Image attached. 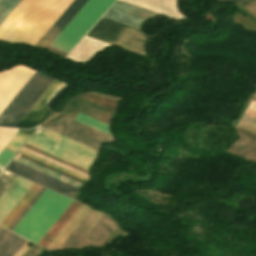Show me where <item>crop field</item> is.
Returning a JSON list of instances; mask_svg holds the SVG:
<instances>
[{"label":"crop field","mask_w":256,"mask_h":256,"mask_svg":"<svg viewBox=\"0 0 256 256\" xmlns=\"http://www.w3.org/2000/svg\"><path fill=\"white\" fill-rule=\"evenodd\" d=\"M2 73H3V72H2ZM2 73H0V75H1Z\"/></svg>","instance_id":"obj_33"},{"label":"crop field","mask_w":256,"mask_h":256,"mask_svg":"<svg viewBox=\"0 0 256 256\" xmlns=\"http://www.w3.org/2000/svg\"><path fill=\"white\" fill-rule=\"evenodd\" d=\"M13 155H14V153L3 149V151L0 153V171L3 170V168L10 161V159L13 157Z\"/></svg>","instance_id":"obj_27"},{"label":"crop field","mask_w":256,"mask_h":256,"mask_svg":"<svg viewBox=\"0 0 256 256\" xmlns=\"http://www.w3.org/2000/svg\"><path fill=\"white\" fill-rule=\"evenodd\" d=\"M16 175L2 171L0 174V196L15 179Z\"/></svg>","instance_id":"obj_23"},{"label":"crop field","mask_w":256,"mask_h":256,"mask_svg":"<svg viewBox=\"0 0 256 256\" xmlns=\"http://www.w3.org/2000/svg\"><path fill=\"white\" fill-rule=\"evenodd\" d=\"M226 1L234 2L256 14V0H226Z\"/></svg>","instance_id":"obj_26"},{"label":"crop field","mask_w":256,"mask_h":256,"mask_svg":"<svg viewBox=\"0 0 256 256\" xmlns=\"http://www.w3.org/2000/svg\"><path fill=\"white\" fill-rule=\"evenodd\" d=\"M71 202L72 200L46 189L13 232L38 244Z\"/></svg>","instance_id":"obj_2"},{"label":"crop field","mask_w":256,"mask_h":256,"mask_svg":"<svg viewBox=\"0 0 256 256\" xmlns=\"http://www.w3.org/2000/svg\"><path fill=\"white\" fill-rule=\"evenodd\" d=\"M115 0H88L50 46L67 53Z\"/></svg>","instance_id":"obj_4"},{"label":"crop field","mask_w":256,"mask_h":256,"mask_svg":"<svg viewBox=\"0 0 256 256\" xmlns=\"http://www.w3.org/2000/svg\"><path fill=\"white\" fill-rule=\"evenodd\" d=\"M87 0H74L73 3L66 9V11L59 17V19L52 25V27L43 36L46 39L53 40L56 35L63 29V27L71 20V18L78 12V10L85 4Z\"/></svg>","instance_id":"obj_16"},{"label":"crop field","mask_w":256,"mask_h":256,"mask_svg":"<svg viewBox=\"0 0 256 256\" xmlns=\"http://www.w3.org/2000/svg\"><path fill=\"white\" fill-rule=\"evenodd\" d=\"M73 0H22L0 26V39L35 45Z\"/></svg>","instance_id":"obj_1"},{"label":"crop field","mask_w":256,"mask_h":256,"mask_svg":"<svg viewBox=\"0 0 256 256\" xmlns=\"http://www.w3.org/2000/svg\"><path fill=\"white\" fill-rule=\"evenodd\" d=\"M48 129L74 139L78 142L86 144L95 149H99L101 142H112L113 138L103 134L97 130L80 124L67 117L61 119L55 124L48 127Z\"/></svg>","instance_id":"obj_7"},{"label":"crop field","mask_w":256,"mask_h":256,"mask_svg":"<svg viewBox=\"0 0 256 256\" xmlns=\"http://www.w3.org/2000/svg\"><path fill=\"white\" fill-rule=\"evenodd\" d=\"M89 210L90 208L82 204L81 207L76 211V213L71 217V219L62 228V230L58 233V235L53 239V241L48 245L46 249H59Z\"/></svg>","instance_id":"obj_15"},{"label":"crop field","mask_w":256,"mask_h":256,"mask_svg":"<svg viewBox=\"0 0 256 256\" xmlns=\"http://www.w3.org/2000/svg\"><path fill=\"white\" fill-rule=\"evenodd\" d=\"M5 169L10 172H13L17 175L25 177L29 180H32L36 183H39L43 186H46L50 189L58 191L62 194H65L69 197H72L75 194V192L78 190V188H76L74 186H71V185L64 183L60 180H57L53 177L45 175L41 172H38L34 169H31L27 166L17 163L13 160L10 161V163L7 165V167Z\"/></svg>","instance_id":"obj_10"},{"label":"crop field","mask_w":256,"mask_h":256,"mask_svg":"<svg viewBox=\"0 0 256 256\" xmlns=\"http://www.w3.org/2000/svg\"><path fill=\"white\" fill-rule=\"evenodd\" d=\"M33 183L17 176L0 197V224L21 200Z\"/></svg>","instance_id":"obj_11"},{"label":"crop field","mask_w":256,"mask_h":256,"mask_svg":"<svg viewBox=\"0 0 256 256\" xmlns=\"http://www.w3.org/2000/svg\"><path fill=\"white\" fill-rule=\"evenodd\" d=\"M33 73L26 67L17 66L0 75V113Z\"/></svg>","instance_id":"obj_8"},{"label":"crop field","mask_w":256,"mask_h":256,"mask_svg":"<svg viewBox=\"0 0 256 256\" xmlns=\"http://www.w3.org/2000/svg\"><path fill=\"white\" fill-rule=\"evenodd\" d=\"M18 130L0 129V152Z\"/></svg>","instance_id":"obj_24"},{"label":"crop field","mask_w":256,"mask_h":256,"mask_svg":"<svg viewBox=\"0 0 256 256\" xmlns=\"http://www.w3.org/2000/svg\"><path fill=\"white\" fill-rule=\"evenodd\" d=\"M87 36L144 55V38L137 29L101 18Z\"/></svg>","instance_id":"obj_6"},{"label":"crop field","mask_w":256,"mask_h":256,"mask_svg":"<svg viewBox=\"0 0 256 256\" xmlns=\"http://www.w3.org/2000/svg\"><path fill=\"white\" fill-rule=\"evenodd\" d=\"M250 109L256 110V102H252Z\"/></svg>","instance_id":"obj_31"},{"label":"crop field","mask_w":256,"mask_h":256,"mask_svg":"<svg viewBox=\"0 0 256 256\" xmlns=\"http://www.w3.org/2000/svg\"><path fill=\"white\" fill-rule=\"evenodd\" d=\"M241 139L228 153L256 162V138L240 133Z\"/></svg>","instance_id":"obj_17"},{"label":"crop field","mask_w":256,"mask_h":256,"mask_svg":"<svg viewBox=\"0 0 256 256\" xmlns=\"http://www.w3.org/2000/svg\"><path fill=\"white\" fill-rule=\"evenodd\" d=\"M45 188H41V190L36 194V196L32 199V201L28 204V206L23 210V212L19 215V217L15 220V222L10 226L9 230H13V228L18 224V222L22 219V217L26 214V212L31 208V206L35 203V201L39 198V196L44 192Z\"/></svg>","instance_id":"obj_25"},{"label":"crop field","mask_w":256,"mask_h":256,"mask_svg":"<svg viewBox=\"0 0 256 256\" xmlns=\"http://www.w3.org/2000/svg\"><path fill=\"white\" fill-rule=\"evenodd\" d=\"M26 144L89 170L97 150L49 131L41 126ZM97 156V155H96Z\"/></svg>","instance_id":"obj_3"},{"label":"crop field","mask_w":256,"mask_h":256,"mask_svg":"<svg viewBox=\"0 0 256 256\" xmlns=\"http://www.w3.org/2000/svg\"><path fill=\"white\" fill-rule=\"evenodd\" d=\"M60 84L61 82L54 80L53 83L48 87V89L43 93V95L38 99V101L33 105V107L28 111V113L23 117V119L18 123L16 127L30 129L40 124L51 112L48 110L47 106L43 104L59 87Z\"/></svg>","instance_id":"obj_12"},{"label":"crop field","mask_w":256,"mask_h":256,"mask_svg":"<svg viewBox=\"0 0 256 256\" xmlns=\"http://www.w3.org/2000/svg\"><path fill=\"white\" fill-rule=\"evenodd\" d=\"M3 228L0 227V231L2 230Z\"/></svg>","instance_id":"obj_32"},{"label":"crop field","mask_w":256,"mask_h":256,"mask_svg":"<svg viewBox=\"0 0 256 256\" xmlns=\"http://www.w3.org/2000/svg\"><path fill=\"white\" fill-rule=\"evenodd\" d=\"M159 14L117 0L103 18L139 29L143 21Z\"/></svg>","instance_id":"obj_9"},{"label":"crop field","mask_w":256,"mask_h":256,"mask_svg":"<svg viewBox=\"0 0 256 256\" xmlns=\"http://www.w3.org/2000/svg\"><path fill=\"white\" fill-rule=\"evenodd\" d=\"M19 153H21V154H23V155H26V156H28V157H31V158H33V159H35V160H38V161H40V162H42V163H45V164H47V165H50V166H52V167H54V168H57V169H59V170H62V171H64V172H66V173H69V174H71V175H73V176H76V177H78V178H81V179H83V180H85L86 181V179H84V178H82V177H80V176H77V175H75V174H73V173H70V172H68V171H66V170H64V169H61V168H59V167H57V166H55V165H52V164H50V163H48V162H46V161H43V160H41V159H39V158H36V157H34V156H32V155H30V154H27V153H25V152H23V151H21V150H19Z\"/></svg>","instance_id":"obj_28"},{"label":"crop field","mask_w":256,"mask_h":256,"mask_svg":"<svg viewBox=\"0 0 256 256\" xmlns=\"http://www.w3.org/2000/svg\"><path fill=\"white\" fill-rule=\"evenodd\" d=\"M242 122L256 126V118L249 116L247 114H245L244 118L242 119Z\"/></svg>","instance_id":"obj_29"},{"label":"crop field","mask_w":256,"mask_h":256,"mask_svg":"<svg viewBox=\"0 0 256 256\" xmlns=\"http://www.w3.org/2000/svg\"><path fill=\"white\" fill-rule=\"evenodd\" d=\"M75 120H77V121H79V122H81V123H84V124H86V125H88V126H90V127H93V128H95V129H97V130H99V131H101V132H104V133L110 135V133H109V131H108V125L105 124V123H102V122H100V121H98V120H95V119H93V118H90V117H88V116H86V115H83V114H81V113H79V114L77 115V117L75 118ZM110 136H111V135H110Z\"/></svg>","instance_id":"obj_20"},{"label":"crop field","mask_w":256,"mask_h":256,"mask_svg":"<svg viewBox=\"0 0 256 256\" xmlns=\"http://www.w3.org/2000/svg\"><path fill=\"white\" fill-rule=\"evenodd\" d=\"M27 250H29V248L27 247H23L18 253H16L14 256H21L22 254H24Z\"/></svg>","instance_id":"obj_30"},{"label":"crop field","mask_w":256,"mask_h":256,"mask_svg":"<svg viewBox=\"0 0 256 256\" xmlns=\"http://www.w3.org/2000/svg\"><path fill=\"white\" fill-rule=\"evenodd\" d=\"M26 242V240L3 229L0 232V256H12Z\"/></svg>","instance_id":"obj_18"},{"label":"crop field","mask_w":256,"mask_h":256,"mask_svg":"<svg viewBox=\"0 0 256 256\" xmlns=\"http://www.w3.org/2000/svg\"><path fill=\"white\" fill-rule=\"evenodd\" d=\"M53 79L35 72L0 114V126L15 127Z\"/></svg>","instance_id":"obj_5"},{"label":"crop field","mask_w":256,"mask_h":256,"mask_svg":"<svg viewBox=\"0 0 256 256\" xmlns=\"http://www.w3.org/2000/svg\"><path fill=\"white\" fill-rule=\"evenodd\" d=\"M102 215L103 213L90 210L60 249L68 247L77 248Z\"/></svg>","instance_id":"obj_13"},{"label":"crop field","mask_w":256,"mask_h":256,"mask_svg":"<svg viewBox=\"0 0 256 256\" xmlns=\"http://www.w3.org/2000/svg\"><path fill=\"white\" fill-rule=\"evenodd\" d=\"M117 226L110 217L103 215L78 248L86 245L98 246L102 240Z\"/></svg>","instance_id":"obj_14"},{"label":"crop field","mask_w":256,"mask_h":256,"mask_svg":"<svg viewBox=\"0 0 256 256\" xmlns=\"http://www.w3.org/2000/svg\"><path fill=\"white\" fill-rule=\"evenodd\" d=\"M21 0H0V25Z\"/></svg>","instance_id":"obj_21"},{"label":"crop field","mask_w":256,"mask_h":256,"mask_svg":"<svg viewBox=\"0 0 256 256\" xmlns=\"http://www.w3.org/2000/svg\"><path fill=\"white\" fill-rule=\"evenodd\" d=\"M29 135L17 133L13 139L8 143V145L5 147V149L10 150L14 153L17 152V150L22 146V144L27 140Z\"/></svg>","instance_id":"obj_22"},{"label":"crop field","mask_w":256,"mask_h":256,"mask_svg":"<svg viewBox=\"0 0 256 256\" xmlns=\"http://www.w3.org/2000/svg\"><path fill=\"white\" fill-rule=\"evenodd\" d=\"M31 188V187H30ZM41 186L36 184L28 191V193L23 197V199L18 203V205L13 209V211L8 215V217L3 221L1 226L9 228V226L14 222L22 210L27 206L35 194L40 190Z\"/></svg>","instance_id":"obj_19"}]
</instances>
